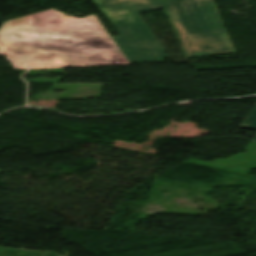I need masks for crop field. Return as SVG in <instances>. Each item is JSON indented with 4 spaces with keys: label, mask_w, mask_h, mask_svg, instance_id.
Instances as JSON below:
<instances>
[{
    "label": "crop field",
    "mask_w": 256,
    "mask_h": 256,
    "mask_svg": "<svg viewBox=\"0 0 256 256\" xmlns=\"http://www.w3.org/2000/svg\"><path fill=\"white\" fill-rule=\"evenodd\" d=\"M0 50L18 67L127 63L95 15L47 12L5 22Z\"/></svg>",
    "instance_id": "1"
},
{
    "label": "crop field",
    "mask_w": 256,
    "mask_h": 256,
    "mask_svg": "<svg viewBox=\"0 0 256 256\" xmlns=\"http://www.w3.org/2000/svg\"><path fill=\"white\" fill-rule=\"evenodd\" d=\"M119 30L113 38L129 62L163 61L167 54L139 12L165 6L187 56L236 52L213 0H93Z\"/></svg>",
    "instance_id": "2"
},
{
    "label": "crop field",
    "mask_w": 256,
    "mask_h": 256,
    "mask_svg": "<svg viewBox=\"0 0 256 256\" xmlns=\"http://www.w3.org/2000/svg\"><path fill=\"white\" fill-rule=\"evenodd\" d=\"M242 128L254 129L256 130V103L253 106L252 110L244 120L243 124L241 125ZM256 142V136L253 139Z\"/></svg>",
    "instance_id": "3"
}]
</instances>
